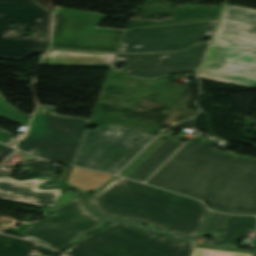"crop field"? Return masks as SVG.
I'll use <instances>...</instances> for the list:
<instances>
[{
    "instance_id": "crop-field-11",
    "label": "crop field",
    "mask_w": 256,
    "mask_h": 256,
    "mask_svg": "<svg viewBox=\"0 0 256 256\" xmlns=\"http://www.w3.org/2000/svg\"><path fill=\"white\" fill-rule=\"evenodd\" d=\"M209 209L256 214V158L231 155Z\"/></svg>"
},
{
    "instance_id": "crop-field-19",
    "label": "crop field",
    "mask_w": 256,
    "mask_h": 256,
    "mask_svg": "<svg viewBox=\"0 0 256 256\" xmlns=\"http://www.w3.org/2000/svg\"><path fill=\"white\" fill-rule=\"evenodd\" d=\"M33 246L34 243L0 235V256H31L28 254Z\"/></svg>"
},
{
    "instance_id": "crop-field-18",
    "label": "crop field",
    "mask_w": 256,
    "mask_h": 256,
    "mask_svg": "<svg viewBox=\"0 0 256 256\" xmlns=\"http://www.w3.org/2000/svg\"><path fill=\"white\" fill-rule=\"evenodd\" d=\"M31 117L8 104L0 95V118L27 126ZM0 142L11 145L15 143V139L12 134L0 129Z\"/></svg>"
},
{
    "instance_id": "crop-field-7",
    "label": "crop field",
    "mask_w": 256,
    "mask_h": 256,
    "mask_svg": "<svg viewBox=\"0 0 256 256\" xmlns=\"http://www.w3.org/2000/svg\"><path fill=\"white\" fill-rule=\"evenodd\" d=\"M124 128L126 127L102 126L87 130L72 165L117 173L154 138L149 134Z\"/></svg>"
},
{
    "instance_id": "crop-field-23",
    "label": "crop field",
    "mask_w": 256,
    "mask_h": 256,
    "mask_svg": "<svg viewBox=\"0 0 256 256\" xmlns=\"http://www.w3.org/2000/svg\"><path fill=\"white\" fill-rule=\"evenodd\" d=\"M195 247L207 248V249H215V250H223V251H230V252H238V253H246V254H252L253 256H256V252H253V251L231 250V249H228V248L221 249V248H215V247H207V246L200 245V244H195L194 248ZM194 248L192 250V253L194 251ZM192 253H191L190 256H192Z\"/></svg>"
},
{
    "instance_id": "crop-field-3",
    "label": "crop field",
    "mask_w": 256,
    "mask_h": 256,
    "mask_svg": "<svg viewBox=\"0 0 256 256\" xmlns=\"http://www.w3.org/2000/svg\"><path fill=\"white\" fill-rule=\"evenodd\" d=\"M217 141L191 139L147 184L211 203L231 155L212 148Z\"/></svg>"
},
{
    "instance_id": "crop-field-9",
    "label": "crop field",
    "mask_w": 256,
    "mask_h": 256,
    "mask_svg": "<svg viewBox=\"0 0 256 256\" xmlns=\"http://www.w3.org/2000/svg\"><path fill=\"white\" fill-rule=\"evenodd\" d=\"M103 222L85 208L81 198L76 197L49 213L23 236L61 251L78 237L98 228Z\"/></svg>"
},
{
    "instance_id": "crop-field-10",
    "label": "crop field",
    "mask_w": 256,
    "mask_h": 256,
    "mask_svg": "<svg viewBox=\"0 0 256 256\" xmlns=\"http://www.w3.org/2000/svg\"><path fill=\"white\" fill-rule=\"evenodd\" d=\"M217 21L127 29L117 52L183 50L213 35Z\"/></svg>"
},
{
    "instance_id": "crop-field-17",
    "label": "crop field",
    "mask_w": 256,
    "mask_h": 256,
    "mask_svg": "<svg viewBox=\"0 0 256 256\" xmlns=\"http://www.w3.org/2000/svg\"><path fill=\"white\" fill-rule=\"evenodd\" d=\"M110 178L111 176L108 174L71 167L67 183L83 191H88L103 186Z\"/></svg>"
},
{
    "instance_id": "crop-field-5",
    "label": "crop field",
    "mask_w": 256,
    "mask_h": 256,
    "mask_svg": "<svg viewBox=\"0 0 256 256\" xmlns=\"http://www.w3.org/2000/svg\"><path fill=\"white\" fill-rule=\"evenodd\" d=\"M55 109L40 105L25 140H20L17 147L26 152L36 150V156L71 165L89 120L56 115Z\"/></svg>"
},
{
    "instance_id": "crop-field-22",
    "label": "crop field",
    "mask_w": 256,
    "mask_h": 256,
    "mask_svg": "<svg viewBox=\"0 0 256 256\" xmlns=\"http://www.w3.org/2000/svg\"><path fill=\"white\" fill-rule=\"evenodd\" d=\"M193 256H252V255L196 248L193 253Z\"/></svg>"
},
{
    "instance_id": "crop-field-12",
    "label": "crop field",
    "mask_w": 256,
    "mask_h": 256,
    "mask_svg": "<svg viewBox=\"0 0 256 256\" xmlns=\"http://www.w3.org/2000/svg\"><path fill=\"white\" fill-rule=\"evenodd\" d=\"M206 46V43H200L180 53L117 54L111 70L142 79L196 71L203 59ZM115 63H127L129 67L116 69L113 68Z\"/></svg>"
},
{
    "instance_id": "crop-field-4",
    "label": "crop field",
    "mask_w": 256,
    "mask_h": 256,
    "mask_svg": "<svg viewBox=\"0 0 256 256\" xmlns=\"http://www.w3.org/2000/svg\"><path fill=\"white\" fill-rule=\"evenodd\" d=\"M195 243L120 221L81 238L64 253L70 256H189Z\"/></svg>"
},
{
    "instance_id": "crop-field-25",
    "label": "crop field",
    "mask_w": 256,
    "mask_h": 256,
    "mask_svg": "<svg viewBox=\"0 0 256 256\" xmlns=\"http://www.w3.org/2000/svg\"><path fill=\"white\" fill-rule=\"evenodd\" d=\"M38 249L36 250L38 253L42 254V255H46V256H55L57 253L41 246V245H37L36 246Z\"/></svg>"
},
{
    "instance_id": "crop-field-13",
    "label": "crop field",
    "mask_w": 256,
    "mask_h": 256,
    "mask_svg": "<svg viewBox=\"0 0 256 256\" xmlns=\"http://www.w3.org/2000/svg\"><path fill=\"white\" fill-rule=\"evenodd\" d=\"M51 178H39L28 181H17L11 177L0 176V198L32 204L35 206H56L62 189L42 190L41 183Z\"/></svg>"
},
{
    "instance_id": "crop-field-20",
    "label": "crop field",
    "mask_w": 256,
    "mask_h": 256,
    "mask_svg": "<svg viewBox=\"0 0 256 256\" xmlns=\"http://www.w3.org/2000/svg\"><path fill=\"white\" fill-rule=\"evenodd\" d=\"M227 217L228 216H226V215L208 211L200 233H213V234L218 235L220 233Z\"/></svg>"
},
{
    "instance_id": "crop-field-16",
    "label": "crop field",
    "mask_w": 256,
    "mask_h": 256,
    "mask_svg": "<svg viewBox=\"0 0 256 256\" xmlns=\"http://www.w3.org/2000/svg\"><path fill=\"white\" fill-rule=\"evenodd\" d=\"M256 227L255 217L230 216L227 224L217 241H210L211 245H234L244 237L247 231L254 232Z\"/></svg>"
},
{
    "instance_id": "crop-field-1",
    "label": "crop field",
    "mask_w": 256,
    "mask_h": 256,
    "mask_svg": "<svg viewBox=\"0 0 256 256\" xmlns=\"http://www.w3.org/2000/svg\"><path fill=\"white\" fill-rule=\"evenodd\" d=\"M88 202L106 219L125 217L147 222L157 231L181 238L197 236L207 212L199 201L119 177Z\"/></svg>"
},
{
    "instance_id": "crop-field-2",
    "label": "crop field",
    "mask_w": 256,
    "mask_h": 256,
    "mask_svg": "<svg viewBox=\"0 0 256 256\" xmlns=\"http://www.w3.org/2000/svg\"><path fill=\"white\" fill-rule=\"evenodd\" d=\"M256 10L227 4L197 77L256 89Z\"/></svg>"
},
{
    "instance_id": "crop-field-24",
    "label": "crop field",
    "mask_w": 256,
    "mask_h": 256,
    "mask_svg": "<svg viewBox=\"0 0 256 256\" xmlns=\"http://www.w3.org/2000/svg\"><path fill=\"white\" fill-rule=\"evenodd\" d=\"M14 152L13 149L0 144V160L4 159L8 155Z\"/></svg>"
},
{
    "instance_id": "crop-field-8",
    "label": "crop field",
    "mask_w": 256,
    "mask_h": 256,
    "mask_svg": "<svg viewBox=\"0 0 256 256\" xmlns=\"http://www.w3.org/2000/svg\"><path fill=\"white\" fill-rule=\"evenodd\" d=\"M104 18L96 13L57 10L52 48L116 53L125 30L95 28Z\"/></svg>"
},
{
    "instance_id": "crop-field-15",
    "label": "crop field",
    "mask_w": 256,
    "mask_h": 256,
    "mask_svg": "<svg viewBox=\"0 0 256 256\" xmlns=\"http://www.w3.org/2000/svg\"><path fill=\"white\" fill-rule=\"evenodd\" d=\"M181 140V138L171 137L164 141L128 178L144 182L184 143Z\"/></svg>"
},
{
    "instance_id": "crop-field-21",
    "label": "crop field",
    "mask_w": 256,
    "mask_h": 256,
    "mask_svg": "<svg viewBox=\"0 0 256 256\" xmlns=\"http://www.w3.org/2000/svg\"><path fill=\"white\" fill-rule=\"evenodd\" d=\"M48 161H40L34 163L21 164L20 166L29 168L28 172L34 174L51 173L56 174L57 168H54Z\"/></svg>"
},
{
    "instance_id": "crop-field-26",
    "label": "crop field",
    "mask_w": 256,
    "mask_h": 256,
    "mask_svg": "<svg viewBox=\"0 0 256 256\" xmlns=\"http://www.w3.org/2000/svg\"><path fill=\"white\" fill-rule=\"evenodd\" d=\"M252 35H253V34H252ZM254 35L256 36V31H255Z\"/></svg>"
},
{
    "instance_id": "crop-field-6",
    "label": "crop field",
    "mask_w": 256,
    "mask_h": 256,
    "mask_svg": "<svg viewBox=\"0 0 256 256\" xmlns=\"http://www.w3.org/2000/svg\"><path fill=\"white\" fill-rule=\"evenodd\" d=\"M16 27L10 26L11 23ZM51 11L35 0H0V57L23 59L48 49ZM21 28L20 31H17ZM26 29L38 30L33 37L22 38ZM41 31H46L40 40Z\"/></svg>"
},
{
    "instance_id": "crop-field-14",
    "label": "crop field",
    "mask_w": 256,
    "mask_h": 256,
    "mask_svg": "<svg viewBox=\"0 0 256 256\" xmlns=\"http://www.w3.org/2000/svg\"><path fill=\"white\" fill-rule=\"evenodd\" d=\"M115 55L53 50L42 65L111 67Z\"/></svg>"
}]
</instances>
